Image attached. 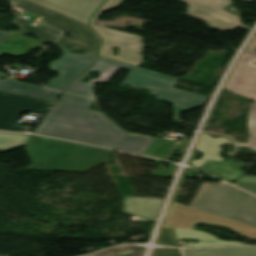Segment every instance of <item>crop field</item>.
I'll return each mask as SVG.
<instances>
[{
    "instance_id": "8a807250",
    "label": "crop field",
    "mask_w": 256,
    "mask_h": 256,
    "mask_svg": "<svg viewBox=\"0 0 256 256\" xmlns=\"http://www.w3.org/2000/svg\"><path fill=\"white\" fill-rule=\"evenodd\" d=\"M93 116L97 117L93 119ZM33 133L166 159L176 142L124 132L104 114L54 103Z\"/></svg>"
},
{
    "instance_id": "ac0d7876",
    "label": "crop field",
    "mask_w": 256,
    "mask_h": 256,
    "mask_svg": "<svg viewBox=\"0 0 256 256\" xmlns=\"http://www.w3.org/2000/svg\"><path fill=\"white\" fill-rule=\"evenodd\" d=\"M121 67L131 70L121 86L126 84L152 91L151 95L158 96L157 100H164L173 104L175 118L180 119L181 112L183 111L197 106H204L208 100V97L205 96L173 89L177 81L174 77L164 76L150 70L101 57L95 65L73 83L68 92L95 99L92 93L94 82L108 81ZM93 71L100 73L101 77L92 79L90 81L91 84L80 82V79L85 78Z\"/></svg>"
},
{
    "instance_id": "34b2d1b8",
    "label": "crop field",
    "mask_w": 256,
    "mask_h": 256,
    "mask_svg": "<svg viewBox=\"0 0 256 256\" xmlns=\"http://www.w3.org/2000/svg\"><path fill=\"white\" fill-rule=\"evenodd\" d=\"M32 165L27 169L87 172L110 160L113 150L31 135L25 143Z\"/></svg>"
},
{
    "instance_id": "412701ff",
    "label": "crop field",
    "mask_w": 256,
    "mask_h": 256,
    "mask_svg": "<svg viewBox=\"0 0 256 256\" xmlns=\"http://www.w3.org/2000/svg\"><path fill=\"white\" fill-rule=\"evenodd\" d=\"M190 206L256 227V197L223 181L202 184Z\"/></svg>"
},
{
    "instance_id": "f4fd0767",
    "label": "crop field",
    "mask_w": 256,
    "mask_h": 256,
    "mask_svg": "<svg viewBox=\"0 0 256 256\" xmlns=\"http://www.w3.org/2000/svg\"><path fill=\"white\" fill-rule=\"evenodd\" d=\"M13 3L15 7L50 19L44 23L48 26L59 31L69 30L72 38L62 36L57 45L72 49H75L73 47L76 46L75 50L96 54L100 38L87 25L79 21L74 24V19L26 0H14ZM45 11H49L51 14L48 15Z\"/></svg>"
},
{
    "instance_id": "dd49c442",
    "label": "crop field",
    "mask_w": 256,
    "mask_h": 256,
    "mask_svg": "<svg viewBox=\"0 0 256 256\" xmlns=\"http://www.w3.org/2000/svg\"><path fill=\"white\" fill-rule=\"evenodd\" d=\"M124 0H106L91 19V28L102 37L99 56L138 66L143 62V40L140 36L94 25L102 11L120 5ZM120 47L119 55L113 56L111 47ZM140 66V65H139Z\"/></svg>"
},
{
    "instance_id": "e52e79f7",
    "label": "crop field",
    "mask_w": 256,
    "mask_h": 256,
    "mask_svg": "<svg viewBox=\"0 0 256 256\" xmlns=\"http://www.w3.org/2000/svg\"><path fill=\"white\" fill-rule=\"evenodd\" d=\"M196 222L226 226L243 237L256 239L255 227L173 202L170 205L161 229H193Z\"/></svg>"
},
{
    "instance_id": "d8731c3e",
    "label": "crop field",
    "mask_w": 256,
    "mask_h": 256,
    "mask_svg": "<svg viewBox=\"0 0 256 256\" xmlns=\"http://www.w3.org/2000/svg\"><path fill=\"white\" fill-rule=\"evenodd\" d=\"M188 5L186 15L206 22L207 27L225 32L243 26L240 16L224 11L232 4L231 0H177Z\"/></svg>"
},
{
    "instance_id": "5a996713",
    "label": "crop field",
    "mask_w": 256,
    "mask_h": 256,
    "mask_svg": "<svg viewBox=\"0 0 256 256\" xmlns=\"http://www.w3.org/2000/svg\"><path fill=\"white\" fill-rule=\"evenodd\" d=\"M57 47L63 51V55L58 61L51 62L49 67L51 71L59 72V76L57 79L52 78L45 87L66 92L72 80L94 63L98 57L88 53L76 56L70 53L69 48Z\"/></svg>"
},
{
    "instance_id": "3316defc",
    "label": "crop field",
    "mask_w": 256,
    "mask_h": 256,
    "mask_svg": "<svg viewBox=\"0 0 256 256\" xmlns=\"http://www.w3.org/2000/svg\"><path fill=\"white\" fill-rule=\"evenodd\" d=\"M49 102L0 92V130L27 132V128L13 126L22 111L43 113Z\"/></svg>"
},
{
    "instance_id": "28ad6ade",
    "label": "crop field",
    "mask_w": 256,
    "mask_h": 256,
    "mask_svg": "<svg viewBox=\"0 0 256 256\" xmlns=\"http://www.w3.org/2000/svg\"><path fill=\"white\" fill-rule=\"evenodd\" d=\"M256 56L245 52L225 89L256 101Z\"/></svg>"
},
{
    "instance_id": "d1516ede",
    "label": "crop field",
    "mask_w": 256,
    "mask_h": 256,
    "mask_svg": "<svg viewBox=\"0 0 256 256\" xmlns=\"http://www.w3.org/2000/svg\"><path fill=\"white\" fill-rule=\"evenodd\" d=\"M86 24L104 0H31Z\"/></svg>"
},
{
    "instance_id": "22f410ed",
    "label": "crop field",
    "mask_w": 256,
    "mask_h": 256,
    "mask_svg": "<svg viewBox=\"0 0 256 256\" xmlns=\"http://www.w3.org/2000/svg\"><path fill=\"white\" fill-rule=\"evenodd\" d=\"M223 145L234 146L226 137L214 139L208 135L202 134L195 149L204 154V156L200 160H191V165L198 168L207 160L226 161L219 155Z\"/></svg>"
},
{
    "instance_id": "cbeb9de0",
    "label": "crop field",
    "mask_w": 256,
    "mask_h": 256,
    "mask_svg": "<svg viewBox=\"0 0 256 256\" xmlns=\"http://www.w3.org/2000/svg\"><path fill=\"white\" fill-rule=\"evenodd\" d=\"M0 78H7L0 74ZM0 91L53 101L60 93L40 87L15 82L9 78L0 80Z\"/></svg>"
},
{
    "instance_id": "5142ce71",
    "label": "crop field",
    "mask_w": 256,
    "mask_h": 256,
    "mask_svg": "<svg viewBox=\"0 0 256 256\" xmlns=\"http://www.w3.org/2000/svg\"><path fill=\"white\" fill-rule=\"evenodd\" d=\"M44 42L38 41L26 36L14 34L0 44V56L7 54L14 57H19L28 53L30 49L39 47Z\"/></svg>"
},
{
    "instance_id": "d9b57169",
    "label": "crop field",
    "mask_w": 256,
    "mask_h": 256,
    "mask_svg": "<svg viewBox=\"0 0 256 256\" xmlns=\"http://www.w3.org/2000/svg\"><path fill=\"white\" fill-rule=\"evenodd\" d=\"M177 237L178 243L179 239H196L197 244L183 243L185 247H215V246H228V245H246L241 243L229 242L220 240L209 233H204L197 230H174ZM181 246V244L179 243ZM182 247V246H181Z\"/></svg>"
},
{
    "instance_id": "733c2abd",
    "label": "crop field",
    "mask_w": 256,
    "mask_h": 256,
    "mask_svg": "<svg viewBox=\"0 0 256 256\" xmlns=\"http://www.w3.org/2000/svg\"><path fill=\"white\" fill-rule=\"evenodd\" d=\"M164 200L126 197V208L124 211L136 215L156 218Z\"/></svg>"
},
{
    "instance_id": "4a817a6b",
    "label": "crop field",
    "mask_w": 256,
    "mask_h": 256,
    "mask_svg": "<svg viewBox=\"0 0 256 256\" xmlns=\"http://www.w3.org/2000/svg\"><path fill=\"white\" fill-rule=\"evenodd\" d=\"M246 164L207 161L199 169L220 177L224 180L235 181L245 171L240 170ZM221 169L225 171H221Z\"/></svg>"
},
{
    "instance_id": "bc2a9ffb",
    "label": "crop field",
    "mask_w": 256,
    "mask_h": 256,
    "mask_svg": "<svg viewBox=\"0 0 256 256\" xmlns=\"http://www.w3.org/2000/svg\"><path fill=\"white\" fill-rule=\"evenodd\" d=\"M184 256H256V247L183 250Z\"/></svg>"
},
{
    "instance_id": "214f88e0",
    "label": "crop field",
    "mask_w": 256,
    "mask_h": 256,
    "mask_svg": "<svg viewBox=\"0 0 256 256\" xmlns=\"http://www.w3.org/2000/svg\"><path fill=\"white\" fill-rule=\"evenodd\" d=\"M12 23L18 24L21 28V30L18 32V34H26V33H33L35 34L40 40L43 41H48V42H52L54 43L55 40L58 38V36L60 35L59 32L54 31L52 29H49L47 27H44L42 25L38 26V27H32L27 23L26 20H23L21 18L16 17Z\"/></svg>"
},
{
    "instance_id": "92a150f3",
    "label": "crop field",
    "mask_w": 256,
    "mask_h": 256,
    "mask_svg": "<svg viewBox=\"0 0 256 256\" xmlns=\"http://www.w3.org/2000/svg\"><path fill=\"white\" fill-rule=\"evenodd\" d=\"M30 135L0 132V152H9L26 142Z\"/></svg>"
},
{
    "instance_id": "dafd665d",
    "label": "crop field",
    "mask_w": 256,
    "mask_h": 256,
    "mask_svg": "<svg viewBox=\"0 0 256 256\" xmlns=\"http://www.w3.org/2000/svg\"><path fill=\"white\" fill-rule=\"evenodd\" d=\"M144 249V247L140 246L127 245L88 256H142Z\"/></svg>"
},
{
    "instance_id": "00972430",
    "label": "crop field",
    "mask_w": 256,
    "mask_h": 256,
    "mask_svg": "<svg viewBox=\"0 0 256 256\" xmlns=\"http://www.w3.org/2000/svg\"><path fill=\"white\" fill-rule=\"evenodd\" d=\"M248 130L251 134L248 144H237V146L250 147L256 151V102L251 103V108L248 114Z\"/></svg>"
},
{
    "instance_id": "a9b5d70f",
    "label": "crop field",
    "mask_w": 256,
    "mask_h": 256,
    "mask_svg": "<svg viewBox=\"0 0 256 256\" xmlns=\"http://www.w3.org/2000/svg\"><path fill=\"white\" fill-rule=\"evenodd\" d=\"M57 102L58 103H64V104H69V105H75V106L89 108L90 105L93 103V100L88 99V98H84V97H79V96L65 94Z\"/></svg>"
},
{
    "instance_id": "4177f3b9",
    "label": "crop field",
    "mask_w": 256,
    "mask_h": 256,
    "mask_svg": "<svg viewBox=\"0 0 256 256\" xmlns=\"http://www.w3.org/2000/svg\"><path fill=\"white\" fill-rule=\"evenodd\" d=\"M156 243L169 246H178L173 230L168 229H163L160 231V235Z\"/></svg>"
},
{
    "instance_id": "730fd06b",
    "label": "crop field",
    "mask_w": 256,
    "mask_h": 256,
    "mask_svg": "<svg viewBox=\"0 0 256 256\" xmlns=\"http://www.w3.org/2000/svg\"><path fill=\"white\" fill-rule=\"evenodd\" d=\"M142 159H147V160H152L154 162H156L157 164H159L158 168L151 174V176H157V177H172L173 176V172L176 169V166L173 165L172 163L170 164V166L167 168L166 171L159 169V167L161 166L162 163H160L158 159H154V158H147V157H141Z\"/></svg>"
},
{
    "instance_id": "eef30255",
    "label": "crop field",
    "mask_w": 256,
    "mask_h": 256,
    "mask_svg": "<svg viewBox=\"0 0 256 256\" xmlns=\"http://www.w3.org/2000/svg\"><path fill=\"white\" fill-rule=\"evenodd\" d=\"M152 256H181L180 249L158 248L155 249Z\"/></svg>"
},
{
    "instance_id": "ae1a2a85",
    "label": "crop field",
    "mask_w": 256,
    "mask_h": 256,
    "mask_svg": "<svg viewBox=\"0 0 256 256\" xmlns=\"http://www.w3.org/2000/svg\"><path fill=\"white\" fill-rule=\"evenodd\" d=\"M236 186L256 195V183L237 182Z\"/></svg>"
},
{
    "instance_id": "d3111659",
    "label": "crop field",
    "mask_w": 256,
    "mask_h": 256,
    "mask_svg": "<svg viewBox=\"0 0 256 256\" xmlns=\"http://www.w3.org/2000/svg\"><path fill=\"white\" fill-rule=\"evenodd\" d=\"M188 141H180L177 142L173 152L171 153L170 157L173 156V154L176 152L177 149L184 150L185 146L187 145Z\"/></svg>"
},
{
    "instance_id": "750c4746",
    "label": "crop field",
    "mask_w": 256,
    "mask_h": 256,
    "mask_svg": "<svg viewBox=\"0 0 256 256\" xmlns=\"http://www.w3.org/2000/svg\"><path fill=\"white\" fill-rule=\"evenodd\" d=\"M246 51L256 55V36L252 40Z\"/></svg>"
},
{
    "instance_id": "bd1437ed",
    "label": "crop field",
    "mask_w": 256,
    "mask_h": 256,
    "mask_svg": "<svg viewBox=\"0 0 256 256\" xmlns=\"http://www.w3.org/2000/svg\"><path fill=\"white\" fill-rule=\"evenodd\" d=\"M13 33L10 32H0V43L11 36Z\"/></svg>"
},
{
    "instance_id": "1d83c4d3",
    "label": "crop field",
    "mask_w": 256,
    "mask_h": 256,
    "mask_svg": "<svg viewBox=\"0 0 256 256\" xmlns=\"http://www.w3.org/2000/svg\"><path fill=\"white\" fill-rule=\"evenodd\" d=\"M238 181H248V182H256V177L243 176Z\"/></svg>"
}]
</instances>
